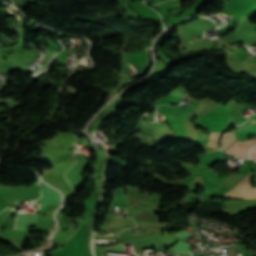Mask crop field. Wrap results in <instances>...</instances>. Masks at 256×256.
Listing matches in <instances>:
<instances>
[{
	"instance_id": "5",
	"label": "crop field",
	"mask_w": 256,
	"mask_h": 256,
	"mask_svg": "<svg viewBox=\"0 0 256 256\" xmlns=\"http://www.w3.org/2000/svg\"><path fill=\"white\" fill-rule=\"evenodd\" d=\"M251 158L256 160V148H254L253 150H251V154H250Z\"/></svg>"
},
{
	"instance_id": "6",
	"label": "crop field",
	"mask_w": 256,
	"mask_h": 256,
	"mask_svg": "<svg viewBox=\"0 0 256 256\" xmlns=\"http://www.w3.org/2000/svg\"><path fill=\"white\" fill-rule=\"evenodd\" d=\"M18 213V212H17ZM16 218H17V216H16ZM15 222H16V219H15ZM14 227H15V223H14ZM14 227H13V229H14Z\"/></svg>"
},
{
	"instance_id": "3",
	"label": "crop field",
	"mask_w": 256,
	"mask_h": 256,
	"mask_svg": "<svg viewBox=\"0 0 256 256\" xmlns=\"http://www.w3.org/2000/svg\"><path fill=\"white\" fill-rule=\"evenodd\" d=\"M234 140H236L235 135L233 132H228L223 134V138L221 141V148L222 150L228 147Z\"/></svg>"
},
{
	"instance_id": "4",
	"label": "crop field",
	"mask_w": 256,
	"mask_h": 256,
	"mask_svg": "<svg viewBox=\"0 0 256 256\" xmlns=\"http://www.w3.org/2000/svg\"><path fill=\"white\" fill-rule=\"evenodd\" d=\"M209 134H210V138L207 146L216 148V140L220 135V133H209Z\"/></svg>"
},
{
	"instance_id": "1",
	"label": "crop field",
	"mask_w": 256,
	"mask_h": 256,
	"mask_svg": "<svg viewBox=\"0 0 256 256\" xmlns=\"http://www.w3.org/2000/svg\"><path fill=\"white\" fill-rule=\"evenodd\" d=\"M251 180L244 178L236 187L223 195V197H237L256 199V188H250Z\"/></svg>"
},
{
	"instance_id": "7",
	"label": "crop field",
	"mask_w": 256,
	"mask_h": 256,
	"mask_svg": "<svg viewBox=\"0 0 256 256\" xmlns=\"http://www.w3.org/2000/svg\"><path fill=\"white\" fill-rule=\"evenodd\" d=\"M254 180H255V182H256V175H255V177H254Z\"/></svg>"
},
{
	"instance_id": "2",
	"label": "crop field",
	"mask_w": 256,
	"mask_h": 256,
	"mask_svg": "<svg viewBox=\"0 0 256 256\" xmlns=\"http://www.w3.org/2000/svg\"><path fill=\"white\" fill-rule=\"evenodd\" d=\"M238 143H240L239 141H236L235 143H233V145L231 147H229L228 149L230 150V152L232 154H234L236 157H244V158H248V150L254 146H256V139H252L242 142L240 143V145L247 151H245ZM228 149H225L224 152L232 155ZM233 156V155H232Z\"/></svg>"
}]
</instances>
